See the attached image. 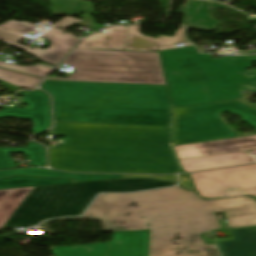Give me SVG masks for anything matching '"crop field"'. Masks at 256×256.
Masks as SVG:
<instances>
[{"label": "crop field", "mask_w": 256, "mask_h": 256, "mask_svg": "<svg viewBox=\"0 0 256 256\" xmlns=\"http://www.w3.org/2000/svg\"><path fill=\"white\" fill-rule=\"evenodd\" d=\"M185 28L180 26L174 37L147 38L139 34V25L128 26L125 50L158 52L157 48L185 42Z\"/></svg>", "instance_id": "obj_13"}, {"label": "crop field", "mask_w": 256, "mask_h": 256, "mask_svg": "<svg viewBox=\"0 0 256 256\" xmlns=\"http://www.w3.org/2000/svg\"><path fill=\"white\" fill-rule=\"evenodd\" d=\"M82 18L84 20L79 22L78 25L91 27V28H95V29H99L104 26V25H100V24H95L91 15H84V16H82Z\"/></svg>", "instance_id": "obj_27"}, {"label": "crop field", "mask_w": 256, "mask_h": 256, "mask_svg": "<svg viewBox=\"0 0 256 256\" xmlns=\"http://www.w3.org/2000/svg\"><path fill=\"white\" fill-rule=\"evenodd\" d=\"M196 190L205 198L256 195V164L191 174Z\"/></svg>", "instance_id": "obj_7"}, {"label": "crop field", "mask_w": 256, "mask_h": 256, "mask_svg": "<svg viewBox=\"0 0 256 256\" xmlns=\"http://www.w3.org/2000/svg\"><path fill=\"white\" fill-rule=\"evenodd\" d=\"M55 121L171 126L165 86L45 80Z\"/></svg>", "instance_id": "obj_3"}, {"label": "crop field", "mask_w": 256, "mask_h": 256, "mask_svg": "<svg viewBox=\"0 0 256 256\" xmlns=\"http://www.w3.org/2000/svg\"><path fill=\"white\" fill-rule=\"evenodd\" d=\"M79 21H81V20H77V19L67 17V18L53 24L50 27L63 31L65 29H67L68 27L78 23Z\"/></svg>", "instance_id": "obj_25"}, {"label": "crop field", "mask_w": 256, "mask_h": 256, "mask_svg": "<svg viewBox=\"0 0 256 256\" xmlns=\"http://www.w3.org/2000/svg\"><path fill=\"white\" fill-rule=\"evenodd\" d=\"M75 182L72 179H48L39 177H23L15 176L0 180V189L6 188H18V187H29V186H42L62 183Z\"/></svg>", "instance_id": "obj_20"}, {"label": "crop field", "mask_w": 256, "mask_h": 256, "mask_svg": "<svg viewBox=\"0 0 256 256\" xmlns=\"http://www.w3.org/2000/svg\"><path fill=\"white\" fill-rule=\"evenodd\" d=\"M219 211H226L231 228L256 225L254 199L204 200L180 186L100 194L83 217L102 219L106 231L149 230L148 256H219L200 236L220 229L212 214Z\"/></svg>", "instance_id": "obj_1"}, {"label": "crop field", "mask_w": 256, "mask_h": 256, "mask_svg": "<svg viewBox=\"0 0 256 256\" xmlns=\"http://www.w3.org/2000/svg\"><path fill=\"white\" fill-rule=\"evenodd\" d=\"M214 7L230 9L246 16V13L218 2L187 0L179 10L180 13L185 14L183 25L191 29L213 31L220 26V22L214 20L210 14Z\"/></svg>", "instance_id": "obj_12"}, {"label": "crop field", "mask_w": 256, "mask_h": 256, "mask_svg": "<svg viewBox=\"0 0 256 256\" xmlns=\"http://www.w3.org/2000/svg\"><path fill=\"white\" fill-rule=\"evenodd\" d=\"M72 66L76 68V73L70 75L69 79H58V78H47V79L85 81L82 67L75 66V65H72Z\"/></svg>", "instance_id": "obj_26"}, {"label": "crop field", "mask_w": 256, "mask_h": 256, "mask_svg": "<svg viewBox=\"0 0 256 256\" xmlns=\"http://www.w3.org/2000/svg\"><path fill=\"white\" fill-rule=\"evenodd\" d=\"M149 231L114 232L113 242L53 247L55 256H147Z\"/></svg>", "instance_id": "obj_8"}, {"label": "crop field", "mask_w": 256, "mask_h": 256, "mask_svg": "<svg viewBox=\"0 0 256 256\" xmlns=\"http://www.w3.org/2000/svg\"><path fill=\"white\" fill-rule=\"evenodd\" d=\"M127 26H116L106 29L84 39L77 48L124 50Z\"/></svg>", "instance_id": "obj_16"}, {"label": "crop field", "mask_w": 256, "mask_h": 256, "mask_svg": "<svg viewBox=\"0 0 256 256\" xmlns=\"http://www.w3.org/2000/svg\"><path fill=\"white\" fill-rule=\"evenodd\" d=\"M174 148L179 160L256 149V135L236 139L181 145Z\"/></svg>", "instance_id": "obj_11"}, {"label": "crop field", "mask_w": 256, "mask_h": 256, "mask_svg": "<svg viewBox=\"0 0 256 256\" xmlns=\"http://www.w3.org/2000/svg\"><path fill=\"white\" fill-rule=\"evenodd\" d=\"M129 177H150V178L159 179V180H172L177 182L175 175H172V176L125 175V178H129Z\"/></svg>", "instance_id": "obj_29"}, {"label": "crop field", "mask_w": 256, "mask_h": 256, "mask_svg": "<svg viewBox=\"0 0 256 256\" xmlns=\"http://www.w3.org/2000/svg\"><path fill=\"white\" fill-rule=\"evenodd\" d=\"M32 188L0 190V229L19 207Z\"/></svg>", "instance_id": "obj_19"}, {"label": "crop field", "mask_w": 256, "mask_h": 256, "mask_svg": "<svg viewBox=\"0 0 256 256\" xmlns=\"http://www.w3.org/2000/svg\"><path fill=\"white\" fill-rule=\"evenodd\" d=\"M234 240L217 243L223 256H256V229L232 231Z\"/></svg>", "instance_id": "obj_15"}, {"label": "crop field", "mask_w": 256, "mask_h": 256, "mask_svg": "<svg viewBox=\"0 0 256 256\" xmlns=\"http://www.w3.org/2000/svg\"><path fill=\"white\" fill-rule=\"evenodd\" d=\"M34 175V176H44L48 178H59L68 177L77 181H88L104 178H124V175H111V174H68L62 172H56L52 170L34 168V169H20V170H5L0 171V178L12 175Z\"/></svg>", "instance_id": "obj_17"}, {"label": "crop field", "mask_w": 256, "mask_h": 256, "mask_svg": "<svg viewBox=\"0 0 256 256\" xmlns=\"http://www.w3.org/2000/svg\"><path fill=\"white\" fill-rule=\"evenodd\" d=\"M254 162L245 151L180 161L185 172L234 166Z\"/></svg>", "instance_id": "obj_14"}, {"label": "crop field", "mask_w": 256, "mask_h": 256, "mask_svg": "<svg viewBox=\"0 0 256 256\" xmlns=\"http://www.w3.org/2000/svg\"><path fill=\"white\" fill-rule=\"evenodd\" d=\"M9 152H24L29 156L31 166H46V153L43 146L28 142V148H0V169L16 167Z\"/></svg>", "instance_id": "obj_18"}, {"label": "crop field", "mask_w": 256, "mask_h": 256, "mask_svg": "<svg viewBox=\"0 0 256 256\" xmlns=\"http://www.w3.org/2000/svg\"><path fill=\"white\" fill-rule=\"evenodd\" d=\"M178 177L180 184L183 186V188L187 190L193 189V185L188 174L178 175Z\"/></svg>", "instance_id": "obj_28"}, {"label": "crop field", "mask_w": 256, "mask_h": 256, "mask_svg": "<svg viewBox=\"0 0 256 256\" xmlns=\"http://www.w3.org/2000/svg\"><path fill=\"white\" fill-rule=\"evenodd\" d=\"M65 144L49 149L50 167L79 172L181 173L171 128L55 122Z\"/></svg>", "instance_id": "obj_2"}, {"label": "crop field", "mask_w": 256, "mask_h": 256, "mask_svg": "<svg viewBox=\"0 0 256 256\" xmlns=\"http://www.w3.org/2000/svg\"><path fill=\"white\" fill-rule=\"evenodd\" d=\"M15 96H23L24 103L29 108H4L0 111L2 117H18L31 119L34 122L32 134L41 132L51 126L49 96L42 91H21Z\"/></svg>", "instance_id": "obj_9"}, {"label": "crop field", "mask_w": 256, "mask_h": 256, "mask_svg": "<svg viewBox=\"0 0 256 256\" xmlns=\"http://www.w3.org/2000/svg\"><path fill=\"white\" fill-rule=\"evenodd\" d=\"M0 67L44 78L52 69L40 65L19 67L0 61Z\"/></svg>", "instance_id": "obj_23"}, {"label": "crop field", "mask_w": 256, "mask_h": 256, "mask_svg": "<svg viewBox=\"0 0 256 256\" xmlns=\"http://www.w3.org/2000/svg\"><path fill=\"white\" fill-rule=\"evenodd\" d=\"M241 102L249 105V106H255L256 104H253V103H250L248 100H246L245 98L244 99H240Z\"/></svg>", "instance_id": "obj_30"}, {"label": "crop field", "mask_w": 256, "mask_h": 256, "mask_svg": "<svg viewBox=\"0 0 256 256\" xmlns=\"http://www.w3.org/2000/svg\"><path fill=\"white\" fill-rule=\"evenodd\" d=\"M236 101H238V100H236ZM239 102V101H238ZM240 103V102H239ZM242 104V103H241ZM244 105V104H243ZM246 106V105H245ZM256 110V109H255Z\"/></svg>", "instance_id": "obj_31"}, {"label": "crop field", "mask_w": 256, "mask_h": 256, "mask_svg": "<svg viewBox=\"0 0 256 256\" xmlns=\"http://www.w3.org/2000/svg\"><path fill=\"white\" fill-rule=\"evenodd\" d=\"M53 15L76 14L84 12L93 14L91 4L80 0H50Z\"/></svg>", "instance_id": "obj_21"}, {"label": "crop field", "mask_w": 256, "mask_h": 256, "mask_svg": "<svg viewBox=\"0 0 256 256\" xmlns=\"http://www.w3.org/2000/svg\"><path fill=\"white\" fill-rule=\"evenodd\" d=\"M63 62L83 66L86 81L166 85L158 53L74 49Z\"/></svg>", "instance_id": "obj_6"}, {"label": "crop field", "mask_w": 256, "mask_h": 256, "mask_svg": "<svg viewBox=\"0 0 256 256\" xmlns=\"http://www.w3.org/2000/svg\"><path fill=\"white\" fill-rule=\"evenodd\" d=\"M172 107L243 98L241 89L256 92V72L246 71L256 56L211 59L195 47L159 51Z\"/></svg>", "instance_id": "obj_4"}, {"label": "crop field", "mask_w": 256, "mask_h": 256, "mask_svg": "<svg viewBox=\"0 0 256 256\" xmlns=\"http://www.w3.org/2000/svg\"><path fill=\"white\" fill-rule=\"evenodd\" d=\"M0 79L4 80L12 85L33 89L35 88L42 78L6 70L0 68Z\"/></svg>", "instance_id": "obj_22"}, {"label": "crop field", "mask_w": 256, "mask_h": 256, "mask_svg": "<svg viewBox=\"0 0 256 256\" xmlns=\"http://www.w3.org/2000/svg\"><path fill=\"white\" fill-rule=\"evenodd\" d=\"M42 36L51 42L50 48L47 50H41L37 47L31 49L18 45L16 43L23 37L0 31V41L6 42L7 45L25 50L28 54L53 66H55L78 41V39L65 35L57 30H51Z\"/></svg>", "instance_id": "obj_10"}, {"label": "crop field", "mask_w": 256, "mask_h": 256, "mask_svg": "<svg viewBox=\"0 0 256 256\" xmlns=\"http://www.w3.org/2000/svg\"><path fill=\"white\" fill-rule=\"evenodd\" d=\"M34 24L27 23V22H16L14 20H11L7 23H4L0 25V29L7 30L10 32H14L17 34H21L26 31H34Z\"/></svg>", "instance_id": "obj_24"}, {"label": "crop field", "mask_w": 256, "mask_h": 256, "mask_svg": "<svg viewBox=\"0 0 256 256\" xmlns=\"http://www.w3.org/2000/svg\"><path fill=\"white\" fill-rule=\"evenodd\" d=\"M152 179H113L34 187L3 228L39 224L61 216H80L98 192H128L174 185Z\"/></svg>", "instance_id": "obj_5"}]
</instances>
